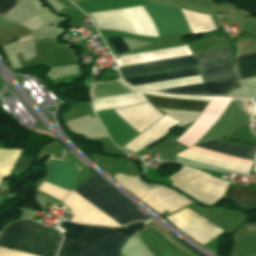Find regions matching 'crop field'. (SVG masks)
<instances>
[{"label": "crop field", "instance_id": "dd49c442", "mask_svg": "<svg viewBox=\"0 0 256 256\" xmlns=\"http://www.w3.org/2000/svg\"><path fill=\"white\" fill-rule=\"evenodd\" d=\"M166 219L202 245L223 231L187 207Z\"/></svg>", "mask_w": 256, "mask_h": 256}, {"label": "crop field", "instance_id": "8a807250", "mask_svg": "<svg viewBox=\"0 0 256 256\" xmlns=\"http://www.w3.org/2000/svg\"><path fill=\"white\" fill-rule=\"evenodd\" d=\"M48 169L50 176L45 181L69 191L77 169L71 165L52 159L48 162ZM47 182H43L38 189L68 206L74 214L72 221L77 223L114 227H118L117 225H119L122 227L131 222L145 221L148 219L147 216L111 192L112 190L107 189L108 187L103 186L94 176L87 179L82 185L80 184L81 186L79 185L80 187L74 192L117 225L76 194Z\"/></svg>", "mask_w": 256, "mask_h": 256}, {"label": "crop field", "instance_id": "28ad6ade", "mask_svg": "<svg viewBox=\"0 0 256 256\" xmlns=\"http://www.w3.org/2000/svg\"><path fill=\"white\" fill-rule=\"evenodd\" d=\"M192 56L119 68L121 77L195 65Z\"/></svg>", "mask_w": 256, "mask_h": 256}, {"label": "crop field", "instance_id": "d9b57169", "mask_svg": "<svg viewBox=\"0 0 256 256\" xmlns=\"http://www.w3.org/2000/svg\"><path fill=\"white\" fill-rule=\"evenodd\" d=\"M20 151L0 149V178L12 174Z\"/></svg>", "mask_w": 256, "mask_h": 256}, {"label": "crop field", "instance_id": "f4fd0767", "mask_svg": "<svg viewBox=\"0 0 256 256\" xmlns=\"http://www.w3.org/2000/svg\"><path fill=\"white\" fill-rule=\"evenodd\" d=\"M67 233L63 234L61 246L57 256H76L90 244L111 234L115 229L76 225L63 221L59 224Z\"/></svg>", "mask_w": 256, "mask_h": 256}, {"label": "crop field", "instance_id": "412701ff", "mask_svg": "<svg viewBox=\"0 0 256 256\" xmlns=\"http://www.w3.org/2000/svg\"><path fill=\"white\" fill-rule=\"evenodd\" d=\"M204 82L240 80L229 46L194 55Z\"/></svg>", "mask_w": 256, "mask_h": 256}, {"label": "crop field", "instance_id": "34b2d1b8", "mask_svg": "<svg viewBox=\"0 0 256 256\" xmlns=\"http://www.w3.org/2000/svg\"><path fill=\"white\" fill-rule=\"evenodd\" d=\"M201 75L198 67L169 71L151 75H144L132 78L124 79L127 83L137 86L161 81H168L192 76ZM239 81L233 82H221V83H200L182 87H175L163 90H157L161 92L177 93V94H189V95H222L230 93L238 87Z\"/></svg>", "mask_w": 256, "mask_h": 256}, {"label": "crop field", "instance_id": "bc2a9ffb", "mask_svg": "<svg viewBox=\"0 0 256 256\" xmlns=\"http://www.w3.org/2000/svg\"><path fill=\"white\" fill-rule=\"evenodd\" d=\"M16 3H18V0H0V14H5Z\"/></svg>", "mask_w": 256, "mask_h": 256}, {"label": "crop field", "instance_id": "e52e79f7", "mask_svg": "<svg viewBox=\"0 0 256 256\" xmlns=\"http://www.w3.org/2000/svg\"><path fill=\"white\" fill-rule=\"evenodd\" d=\"M154 21L159 34L191 32L180 9L156 3L144 6Z\"/></svg>", "mask_w": 256, "mask_h": 256}, {"label": "crop field", "instance_id": "ac0d7876", "mask_svg": "<svg viewBox=\"0 0 256 256\" xmlns=\"http://www.w3.org/2000/svg\"><path fill=\"white\" fill-rule=\"evenodd\" d=\"M61 239V234L55 229L29 220H18L3 230L0 246L37 256H55ZM13 250L0 248V256H33Z\"/></svg>", "mask_w": 256, "mask_h": 256}, {"label": "crop field", "instance_id": "d1516ede", "mask_svg": "<svg viewBox=\"0 0 256 256\" xmlns=\"http://www.w3.org/2000/svg\"><path fill=\"white\" fill-rule=\"evenodd\" d=\"M119 183H121L125 188L132 192L135 196L149 205L151 208L157 212H162V207L156 198L150 193L149 190L145 188L144 185L140 184L137 178H128L117 173L114 177Z\"/></svg>", "mask_w": 256, "mask_h": 256}, {"label": "crop field", "instance_id": "5a996713", "mask_svg": "<svg viewBox=\"0 0 256 256\" xmlns=\"http://www.w3.org/2000/svg\"><path fill=\"white\" fill-rule=\"evenodd\" d=\"M179 121L165 115L147 130L129 142L124 148L132 150L134 152L138 151L140 148L154 142L163 135H165L171 128H173Z\"/></svg>", "mask_w": 256, "mask_h": 256}, {"label": "crop field", "instance_id": "5142ce71", "mask_svg": "<svg viewBox=\"0 0 256 256\" xmlns=\"http://www.w3.org/2000/svg\"><path fill=\"white\" fill-rule=\"evenodd\" d=\"M225 195L256 198V189L235 187L230 185ZM229 196H224V197H229ZM239 197H230V198L234 199L241 206L256 208V199L239 198Z\"/></svg>", "mask_w": 256, "mask_h": 256}, {"label": "crop field", "instance_id": "214f88e0", "mask_svg": "<svg viewBox=\"0 0 256 256\" xmlns=\"http://www.w3.org/2000/svg\"><path fill=\"white\" fill-rule=\"evenodd\" d=\"M72 2H76V1H82V0H71Z\"/></svg>", "mask_w": 256, "mask_h": 256}, {"label": "crop field", "instance_id": "d8731c3e", "mask_svg": "<svg viewBox=\"0 0 256 256\" xmlns=\"http://www.w3.org/2000/svg\"><path fill=\"white\" fill-rule=\"evenodd\" d=\"M218 140L198 144L191 147L190 149H194V150H198V151H202V152H206V153H210V154H214V155H218V156H222V157H226V158H230V159H234V160H238V161H242L250 164L252 163V159L255 151V149L253 148L255 147L249 146V147H253V148H249V147H244L248 145L240 146L243 144L235 145L238 143L231 144L233 142L226 143L229 141L222 142L224 140L222 141H218Z\"/></svg>", "mask_w": 256, "mask_h": 256}, {"label": "crop field", "instance_id": "3316defc", "mask_svg": "<svg viewBox=\"0 0 256 256\" xmlns=\"http://www.w3.org/2000/svg\"><path fill=\"white\" fill-rule=\"evenodd\" d=\"M128 237L115 232L92 244L77 256H120V249Z\"/></svg>", "mask_w": 256, "mask_h": 256}, {"label": "crop field", "instance_id": "4a817a6b", "mask_svg": "<svg viewBox=\"0 0 256 256\" xmlns=\"http://www.w3.org/2000/svg\"><path fill=\"white\" fill-rule=\"evenodd\" d=\"M109 40L118 52V54H123L129 51L121 37L109 38Z\"/></svg>", "mask_w": 256, "mask_h": 256}, {"label": "crop field", "instance_id": "733c2abd", "mask_svg": "<svg viewBox=\"0 0 256 256\" xmlns=\"http://www.w3.org/2000/svg\"><path fill=\"white\" fill-rule=\"evenodd\" d=\"M241 79L256 77V53L237 57Z\"/></svg>", "mask_w": 256, "mask_h": 256}, {"label": "crop field", "instance_id": "cbeb9de0", "mask_svg": "<svg viewBox=\"0 0 256 256\" xmlns=\"http://www.w3.org/2000/svg\"><path fill=\"white\" fill-rule=\"evenodd\" d=\"M151 190L154 192V194L161 202V204L164 206V208L168 210L170 213L190 203L182 196L172 191H169L163 187L152 188Z\"/></svg>", "mask_w": 256, "mask_h": 256}, {"label": "crop field", "instance_id": "22f410ed", "mask_svg": "<svg viewBox=\"0 0 256 256\" xmlns=\"http://www.w3.org/2000/svg\"><path fill=\"white\" fill-rule=\"evenodd\" d=\"M145 96L156 107H162V108L202 111L208 104V102L172 100V99L153 97L149 95H145Z\"/></svg>", "mask_w": 256, "mask_h": 256}]
</instances>
